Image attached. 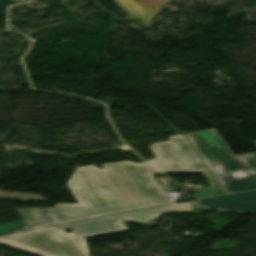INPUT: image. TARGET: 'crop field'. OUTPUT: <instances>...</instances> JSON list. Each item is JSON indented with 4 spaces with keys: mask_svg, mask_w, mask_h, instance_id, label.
Wrapping results in <instances>:
<instances>
[{
    "mask_svg": "<svg viewBox=\"0 0 256 256\" xmlns=\"http://www.w3.org/2000/svg\"><path fill=\"white\" fill-rule=\"evenodd\" d=\"M78 167L67 186L79 204L17 208L24 221L0 225V235L93 216L147 207L169 200L147 163L131 161Z\"/></svg>",
    "mask_w": 256,
    "mask_h": 256,
    "instance_id": "8a807250",
    "label": "crop field"
},
{
    "mask_svg": "<svg viewBox=\"0 0 256 256\" xmlns=\"http://www.w3.org/2000/svg\"><path fill=\"white\" fill-rule=\"evenodd\" d=\"M170 206L0 236V243L41 256H89L84 238L127 230L123 222L144 223L166 212Z\"/></svg>",
    "mask_w": 256,
    "mask_h": 256,
    "instance_id": "ac0d7876",
    "label": "crop field"
},
{
    "mask_svg": "<svg viewBox=\"0 0 256 256\" xmlns=\"http://www.w3.org/2000/svg\"><path fill=\"white\" fill-rule=\"evenodd\" d=\"M186 136L226 194L256 189V153L235 156L215 128Z\"/></svg>",
    "mask_w": 256,
    "mask_h": 256,
    "instance_id": "34b2d1b8",
    "label": "crop field"
},
{
    "mask_svg": "<svg viewBox=\"0 0 256 256\" xmlns=\"http://www.w3.org/2000/svg\"><path fill=\"white\" fill-rule=\"evenodd\" d=\"M170 139L149 147L156 159L148 163L163 173H203L217 195H224L184 135L172 136Z\"/></svg>",
    "mask_w": 256,
    "mask_h": 256,
    "instance_id": "412701ff",
    "label": "crop field"
},
{
    "mask_svg": "<svg viewBox=\"0 0 256 256\" xmlns=\"http://www.w3.org/2000/svg\"><path fill=\"white\" fill-rule=\"evenodd\" d=\"M197 204L234 211H256V191L202 199L198 200Z\"/></svg>",
    "mask_w": 256,
    "mask_h": 256,
    "instance_id": "f4fd0767",
    "label": "crop field"
}]
</instances>
